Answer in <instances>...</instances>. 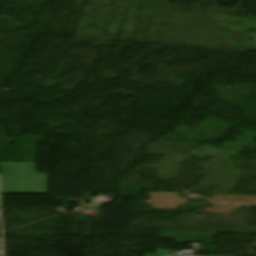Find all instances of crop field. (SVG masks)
<instances>
[{
    "label": "crop field",
    "mask_w": 256,
    "mask_h": 256,
    "mask_svg": "<svg viewBox=\"0 0 256 256\" xmlns=\"http://www.w3.org/2000/svg\"><path fill=\"white\" fill-rule=\"evenodd\" d=\"M1 194H46L47 175H36L35 164L0 163Z\"/></svg>",
    "instance_id": "crop-field-1"
},
{
    "label": "crop field",
    "mask_w": 256,
    "mask_h": 256,
    "mask_svg": "<svg viewBox=\"0 0 256 256\" xmlns=\"http://www.w3.org/2000/svg\"><path fill=\"white\" fill-rule=\"evenodd\" d=\"M158 254H170L169 250H157Z\"/></svg>",
    "instance_id": "crop-field-2"
},
{
    "label": "crop field",
    "mask_w": 256,
    "mask_h": 256,
    "mask_svg": "<svg viewBox=\"0 0 256 256\" xmlns=\"http://www.w3.org/2000/svg\"><path fill=\"white\" fill-rule=\"evenodd\" d=\"M0 249H1V240H0Z\"/></svg>",
    "instance_id": "crop-field-4"
},
{
    "label": "crop field",
    "mask_w": 256,
    "mask_h": 256,
    "mask_svg": "<svg viewBox=\"0 0 256 256\" xmlns=\"http://www.w3.org/2000/svg\"><path fill=\"white\" fill-rule=\"evenodd\" d=\"M145 256H175V255H145Z\"/></svg>",
    "instance_id": "crop-field-3"
}]
</instances>
